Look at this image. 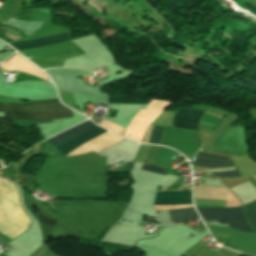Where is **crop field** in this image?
Masks as SVG:
<instances>
[{
  "instance_id": "cbeb9de0",
  "label": "crop field",
  "mask_w": 256,
  "mask_h": 256,
  "mask_svg": "<svg viewBox=\"0 0 256 256\" xmlns=\"http://www.w3.org/2000/svg\"><path fill=\"white\" fill-rule=\"evenodd\" d=\"M218 178H225V177H240L237 170L228 171V172H219V173H211Z\"/></svg>"
},
{
  "instance_id": "f4fd0767",
  "label": "crop field",
  "mask_w": 256,
  "mask_h": 256,
  "mask_svg": "<svg viewBox=\"0 0 256 256\" xmlns=\"http://www.w3.org/2000/svg\"><path fill=\"white\" fill-rule=\"evenodd\" d=\"M0 68L3 71L19 70V71L30 73V74H32L36 77L42 78L46 81L49 80L48 77L44 73H42L35 66H33L31 63H29L27 60H25L23 57H21L18 54L12 55L7 60H5L3 63H1Z\"/></svg>"
},
{
  "instance_id": "d1516ede",
  "label": "crop field",
  "mask_w": 256,
  "mask_h": 256,
  "mask_svg": "<svg viewBox=\"0 0 256 256\" xmlns=\"http://www.w3.org/2000/svg\"><path fill=\"white\" fill-rule=\"evenodd\" d=\"M243 207L248 224L256 232V201Z\"/></svg>"
},
{
  "instance_id": "5142ce71",
  "label": "crop field",
  "mask_w": 256,
  "mask_h": 256,
  "mask_svg": "<svg viewBox=\"0 0 256 256\" xmlns=\"http://www.w3.org/2000/svg\"><path fill=\"white\" fill-rule=\"evenodd\" d=\"M142 169L147 170V171L160 173V174H163V172L165 171L164 168H160V167H156V166H149V165H144Z\"/></svg>"
},
{
  "instance_id": "22f410ed",
  "label": "crop field",
  "mask_w": 256,
  "mask_h": 256,
  "mask_svg": "<svg viewBox=\"0 0 256 256\" xmlns=\"http://www.w3.org/2000/svg\"><path fill=\"white\" fill-rule=\"evenodd\" d=\"M161 130H162L161 127H154L153 128V131L151 133V137H150L149 143L158 144L159 145Z\"/></svg>"
},
{
  "instance_id": "8a807250",
  "label": "crop field",
  "mask_w": 256,
  "mask_h": 256,
  "mask_svg": "<svg viewBox=\"0 0 256 256\" xmlns=\"http://www.w3.org/2000/svg\"><path fill=\"white\" fill-rule=\"evenodd\" d=\"M69 110L58 100L30 101L24 104L0 103V112H42ZM4 118L9 121L44 120L73 117L71 111L43 112V113H5Z\"/></svg>"
},
{
  "instance_id": "5a996713",
  "label": "crop field",
  "mask_w": 256,
  "mask_h": 256,
  "mask_svg": "<svg viewBox=\"0 0 256 256\" xmlns=\"http://www.w3.org/2000/svg\"><path fill=\"white\" fill-rule=\"evenodd\" d=\"M161 204H192L191 192L156 193L154 205Z\"/></svg>"
},
{
  "instance_id": "e52e79f7",
  "label": "crop field",
  "mask_w": 256,
  "mask_h": 256,
  "mask_svg": "<svg viewBox=\"0 0 256 256\" xmlns=\"http://www.w3.org/2000/svg\"><path fill=\"white\" fill-rule=\"evenodd\" d=\"M70 39H71L70 32H66V33H61L57 35L33 39V40L10 43V45L17 50H22V49L42 47V46L70 40Z\"/></svg>"
},
{
  "instance_id": "d9b57169",
  "label": "crop field",
  "mask_w": 256,
  "mask_h": 256,
  "mask_svg": "<svg viewBox=\"0 0 256 256\" xmlns=\"http://www.w3.org/2000/svg\"><path fill=\"white\" fill-rule=\"evenodd\" d=\"M5 0H0V4H2Z\"/></svg>"
},
{
  "instance_id": "3316defc",
  "label": "crop field",
  "mask_w": 256,
  "mask_h": 256,
  "mask_svg": "<svg viewBox=\"0 0 256 256\" xmlns=\"http://www.w3.org/2000/svg\"><path fill=\"white\" fill-rule=\"evenodd\" d=\"M230 159V158H229ZM224 157L206 155L198 153L193 165L208 167V168H219V167H231L234 166L233 162Z\"/></svg>"
},
{
  "instance_id": "d8731c3e",
  "label": "crop field",
  "mask_w": 256,
  "mask_h": 256,
  "mask_svg": "<svg viewBox=\"0 0 256 256\" xmlns=\"http://www.w3.org/2000/svg\"><path fill=\"white\" fill-rule=\"evenodd\" d=\"M202 113V111L179 108L174 117V127L197 130L198 120Z\"/></svg>"
},
{
  "instance_id": "28ad6ade",
  "label": "crop field",
  "mask_w": 256,
  "mask_h": 256,
  "mask_svg": "<svg viewBox=\"0 0 256 256\" xmlns=\"http://www.w3.org/2000/svg\"><path fill=\"white\" fill-rule=\"evenodd\" d=\"M168 213H169L170 220L174 221L176 223H179V222H182L185 220L199 218L196 211L194 210V208L168 210ZM176 223H174V224H176Z\"/></svg>"
},
{
  "instance_id": "dd49c442",
  "label": "crop field",
  "mask_w": 256,
  "mask_h": 256,
  "mask_svg": "<svg viewBox=\"0 0 256 256\" xmlns=\"http://www.w3.org/2000/svg\"><path fill=\"white\" fill-rule=\"evenodd\" d=\"M84 54L85 53L77 47V48L69 49V50L54 53V54L31 58L29 60H31L40 68H43V67L61 65L63 64V60L65 59L84 55Z\"/></svg>"
},
{
  "instance_id": "ac0d7876",
  "label": "crop field",
  "mask_w": 256,
  "mask_h": 256,
  "mask_svg": "<svg viewBox=\"0 0 256 256\" xmlns=\"http://www.w3.org/2000/svg\"><path fill=\"white\" fill-rule=\"evenodd\" d=\"M96 125H94L93 123H91L90 121H86L84 123H81L77 126H75L74 128L65 131L51 139H49L48 141L53 145H57L75 135H78L92 127H94ZM106 130H103L102 128L96 126L76 137H73L57 146H55L56 149H58L61 153H63L64 155L67 154L68 152L72 151L73 149H75L76 147H78L79 145L83 144L84 142L102 134L103 132H105Z\"/></svg>"
},
{
  "instance_id": "34b2d1b8",
  "label": "crop field",
  "mask_w": 256,
  "mask_h": 256,
  "mask_svg": "<svg viewBox=\"0 0 256 256\" xmlns=\"http://www.w3.org/2000/svg\"><path fill=\"white\" fill-rule=\"evenodd\" d=\"M203 220H217L244 232H253L244 219L241 207L235 208H197ZM234 228V229H235Z\"/></svg>"
},
{
  "instance_id": "412701ff",
  "label": "crop field",
  "mask_w": 256,
  "mask_h": 256,
  "mask_svg": "<svg viewBox=\"0 0 256 256\" xmlns=\"http://www.w3.org/2000/svg\"><path fill=\"white\" fill-rule=\"evenodd\" d=\"M195 198L227 200L226 207L240 206L236 198L226 187H202L195 186Z\"/></svg>"
}]
</instances>
